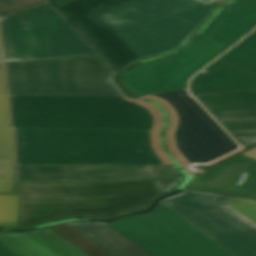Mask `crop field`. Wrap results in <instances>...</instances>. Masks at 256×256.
Wrapping results in <instances>:
<instances>
[{
  "mask_svg": "<svg viewBox=\"0 0 256 256\" xmlns=\"http://www.w3.org/2000/svg\"><path fill=\"white\" fill-rule=\"evenodd\" d=\"M18 165H174L164 116L137 98L10 96Z\"/></svg>",
  "mask_w": 256,
  "mask_h": 256,
  "instance_id": "1",
  "label": "crop field"
},
{
  "mask_svg": "<svg viewBox=\"0 0 256 256\" xmlns=\"http://www.w3.org/2000/svg\"><path fill=\"white\" fill-rule=\"evenodd\" d=\"M19 227L76 217L108 219L150 207L160 193L154 182L17 183Z\"/></svg>",
  "mask_w": 256,
  "mask_h": 256,
  "instance_id": "2",
  "label": "crop field"
},
{
  "mask_svg": "<svg viewBox=\"0 0 256 256\" xmlns=\"http://www.w3.org/2000/svg\"><path fill=\"white\" fill-rule=\"evenodd\" d=\"M256 27V0H240L184 51L142 63L122 75L126 88L138 95L187 89L188 79Z\"/></svg>",
  "mask_w": 256,
  "mask_h": 256,
  "instance_id": "3",
  "label": "crop field"
},
{
  "mask_svg": "<svg viewBox=\"0 0 256 256\" xmlns=\"http://www.w3.org/2000/svg\"><path fill=\"white\" fill-rule=\"evenodd\" d=\"M221 6L206 0H131L100 16L147 59L181 48Z\"/></svg>",
  "mask_w": 256,
  "mask_h": 256,
  "instance_id": "4",
  "label": "crop field"
},
{
  "mask_svg": "<svg viewBox=\"0 0 256 256\" xmlns=\"http://www.w3.org/2000/svg\"><path fill=\"white\" fill-rule=\"evenodd\" d=\"M5 61L99 53L52 5L0 18Z\"/></svg>",
  "mask_w": 256,
  "mask_h": 256,
  "instance_id": "5",
  "label": "crop field"
},
{
  "mask_svg": "<svg viewBox=\"0 0 256 256\" xmlns=\"http://www.w3.org/2000/svg\"><path fill=\"white\" fill-rule=\"evenodd\" d=\"M159 102L169 114L167 149L184 170L192 162L206 163L238 149V145L188 96L187 90L143 96Z\"/></svg>",
  "mask_w": 256,
  "mask_h": 256,
  "instance_id": "6",
  "label": "crop field"
},
{
  "mask_svg": "<svg viewBox=\"0 0 256 256\" xmlns=\"http://www.w3.org/2000/svg\"><path fill=\"white\" fill-rule=\"evenodd\" d=\"M24 60L28 95L130 96L114 82L118 73L101 55Z\"/></svg>",
  "mask_w": 256,
  "mask_h": 256,
  "instance_id": "7",
  "label": "crop field"
},
{
  "mask_svg": "<svg viewBox=\"0 0 256 256\" xmlns=\"http://www.w3.org/2000/svg\"><path fill=\"white\" fill-rule=\"evenodd\" d=\"M230 198L185 189L160 203L236 256H256V226L227 207Z\"/></svg>",
  "mask_w": 256,
  "mask_h": 256,
  "instance_id": "8",
  "label": "crop field"
},
{
  "mask_svg": "<svg viewBox=\"0 0 256 256\" xmlns=\"http://www.w3.org/2000/svg\"><path fill=\"white\" fill-rule=\"evenodd\" d=\"M185 222L158 203L153 212L108 224L155 256H234Z\"/></svg>",
  "mask_w": 256,
  "mask_h": 256,
  "instance_id": "9",
  "label": "crop field"
},
{
  "mask_svg": "<svg viewBox=\"0 0 256 256\" xmlns=\"http://www.w3.org/2000/svg\"><path fill=\"white\" fill-rule=\"evenodd\" d=\"M183 178L176 166H15V181L155 179L161 194Z\"/></svg>",
  "mask_w": 256,
  "mask_h": 256,
  "instance_id": "10",
  "label": "crop field"
},
{
  "mask_svg": "<svg viewBox=\"0 0 256 256\" xmlns=\"http://www.w3.org/2000/svg\"><path fill=\"white\" fill-rule=\"evenodd\" d=\"M129 0H74L60 9L120 69L141 60L98 15Z\"/></svg>",
  "mask_w": 256,
  "mask_h": 256,
  "instance_id": "11",
  "label": "crop field"
},
{
  "mask_svg": "<svg viewBox=\"0 0 256 256\" xmlns=\"http://www.w3.org/2000/svg\"><path fill=\"white\" fill-rule=\"evenodd\" d=\"M196 97L244 147L256 143V93L245 91Z\"/></svg>",
  "mask_w": 256,
  "mask_h": 256,
  "instance_id": "12",
  "label": "crop field"
},
{
  "mask_svg": "<svg viewBox=\"0 0 256 256\" xmlns=\"http://www.w3.org/2000/svg\"><path fill=\"white\" fill-rule=\"evenodd\" d=\"M187 187L256 198V161L238 155L206 170Z\"/></svg>",
  "mask_w": 256,
  "mask_h": 256,
  "instance_id": "13",
  "label": "crop field"
},
{
  "mask_svg": "<svg viewBox=\"0 0 256 256\" xmlns=\"http://www.w3.org/2000/svg\"><path fill=\"white\" fill-rule=\"evenodd\" d=\"M191 81L194 95L251 90L256 74L216 60Z\"/></svg>",
  "mask_w": 256,
  "mask_h": 256,
  "instance_id": "14",
  "label": "crop field"
},
{
  "mask_svg": "<svg viewBox=\"0 0 256 256\" xmlns=\"http://www.w3.org/2000/svg\"><path fill=\"white\" fill-rule=\"evenodd\" d=\"M69 224L115 256H153L106 223L72 222Z\"/></svg>",
  "mask_w": 256,
  "mask_h": 256,
  "instance_id": "15",
  "label": "crop field"
},
{
  "mask_svg": "<svg viewBox=\"0 0 256 256\" xmlns=\"http://www.w3.org/2000/svg\"><path fill=\"white\" fill-rule=\"evenodd\" d=\"M8 125L6 94L0 69V192H11L14 181L12 135Z\"/></svg>",
  "mask_w": 256,
  "mask_h": 256,
  "instance_id": "16",
  "label": "crop field"
},
{
  "mask_svg": "<svg viewBox=\"0 0 256 256\" xmlns=\"http://www.w3.org/2000/svg\"><path fill=\"white\" fill-rule=\"evenodd\" d=\"M0 241L16 256H61L30 231H0Z\"/></svg>",
  "mask_w": 256,
  "mask_h": 256,
  "instance_id": "17",
  "label": "crop field"
},
{
  "mask_svg": "<svg viewBox=\"0 0 256 256\" xmlns=\"http://www.w3.org/2000/svg\"><path fill=\"white\" fill-rule=\"evenodd\" d=\"M220 60L256 73V31L228 51Z\"/></svg>",
  "mask_w": 256,
  "mask_h": 256,
  "instance_id": "18",
  "label": "crop field"
},
{
  "mask_svg": "<svg viewBox=\"0 0 256 256\" xmlns=\"http://www.w3.org/2000/svg\"><path fill=\"white\" fill-rule=\"evenodd\" d=\"M52 230L74 244L89 256H113L89 238L75 230L68 224L51 227Z\"/></svg>",
  "mask_w": 256,
  "mask_h": 256,
  "instance_id": "19",
  "label": "crop field"
},
{
  "mask_svg": "<svg viewBox=\"0 0 256 256\" xmlns=\"http://www.w3.org/2000/svg\"><path fill=\"white\" fill-rule=\"evenodd\" d=\"M62 256H88L49 228L31 231Z\"/></svg>",
  "mask_w": 256,
  "mask_h": 256,
  "instance_id": "20",
  "label": "crop field"
},
{
  "mask_svg": "<svg viewBox=\"0 0 256 256\" xmlns=\"http://www.w3.org/2000/svg\"><path fill=\"white\" fill-rule=\"evenodd\" d=\"M19 195H0V226L17 228Z\"/></svg>",
  "mask_w": 256,
  "mask_h": 256,
  "instance_id": "21",
  "label": "crop field"
},
{
  "mask_svg": "<svg viewBox=\"0 0 256 256\" xmlns=\"http://www.w3.org/2000/svg\"><path fill=\"white\" fill-rule=\"evenodd\" d=\"M9 95H27L23 61L5 62Z\"/></svg>",
  "mask_w": 256,
  "mask_h": 256,
  "instance_id": "22",
  "label": "crop field"
},
{
  "mask_svg": "<svg viewBox=\"0 0 256 256\" xmlns=\"http://www.w3.org/2000/svg\"><path fill=\"white\" fill-rule=\"evenodd\" d=\"M50 3L49 0H0V16Z\"/></svg>",
  "mask_w": 256,
  "mask_h": 256,
  "instance_id": "23",
  "label": "crop field"
},
{
  "mask_svg": "<svg viewBox=\"0 0 256 256\" xmlns=\"http://www.w3.org/2000/svg\"><path fill=\"white\" fill-rule=\"evenodd\" d=\"M228 207L256 225V201L232 197Z\"/></svg>",
  "mask_w": 256,
  "mask_h": 256,
  "instance_id": "24",
  "label": "crop field"
},
{
  "mask_svg": "<svg viewBox=\"0 0 256 256\" xmlns=\"http://www.w3.org/2000/svg\"><path fill=\"white\" fill-rule=\"evenodd\" d=\"M0 256H15L0 242Z\"/></svg>",
  "mask_w": 256,
  "mask_h": 256,
  "instance_id": "25",
  "label": "crop field"
},
{
  "mask_svg": "<svg viewBox=\"0 0 256 256\" xmlns=\"http://www.w3.org/2000/svg\"><path fill=\"white\" fill-rule=\"evenodd\" d=\"M241 154L246 155L248 157H251L253 159H256V148L247 150V151H245V152H243Z\"/></svg>",
  "mask_w": 256,
  "mask_h": 256,
  "instance_id": "26",
  "label": "crop field"
},
{
  "mask_svg": "<svg viewBox=\"0 0 256 256\" xmlns=\"http://www.w3.org/2000/svg\"><path fill=\"white\" fill-rule=\"evenodd\" d=\"M58 7L72 1V0H52Z\"/></svg>",
  "mask_w": 256,
  "mask_h": 256,
  "instance_id": "27",
  "label": "crop field"
},
{
  "mask_svg": "<svg viewBox=\"0 0 256 256\" xmlns=\"http://www.w3.org/2000/svg\"><path fill=\"white\" fill-rule=\"evenodd\" d=\"M209 1H212V2L224 5V4L228 3V2H230L231 0H209Z\"/></svg>",
  "mask_w": 256,
  "mask_h": 256,
  "instance_id": "28",
  "label": "crop field"
},
{
  "mask_svg": "<svg viewBox=\"0 0 256 256\" xmlns=\"http://www.w3.org/2000/svg\"><path fill=\"white\" fill-rule=\"evenodd\" d=\"M0 68H2V64H1V54H0Z\"/></svg>",
  "mask_w": 256,
  "mask_h": 256,
  "instance_id": "29",
  "label": "crop field"
},
{
  "mask_svg": "<svg viewBox=\"0 0 256 256\" xmlns=\"http://www.w3.org/2000/svg\"><path fill=\"white\" fill-rule=\"evenodd\" d=\"M252 91L256 92V87L252 89Z\"/></svg>",
  "mask_w": 256,
  "mask_h": 256,
  "instance_id": "30",
  "label": "crop field"
}]
</instances>
